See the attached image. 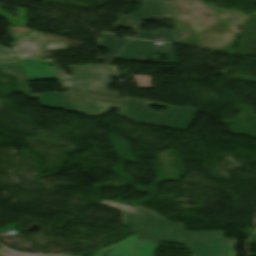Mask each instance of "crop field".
<instances>
[{"instance_id":"obj_12","label":"crop field","mask_w":256,"mask_h":256,"mask_svg":"<svg viewBox=\"0 0 256 256\" xmlns=\"http://www.w3.org/2000/svg\"><path fill=\"white\" fill-rule=\"evenodd\" d=\"M113 76L108 66L90 65V92L119 95V92L108 91Z\"/></svg>"},{"instance_id":"obj_14","label":"crop field","mask_w":256,"mask_h":256,"mask_svg":"<svg viewBox=\"0 0 256 256\" xmlns=\"http://www.w3.org/2000/svg\"><path fill=\"white\" fill-rule=\"evenodd\" d=\"M101 41L99 42L100 47L105 48L110 53L105 57H100L102 61L110 63L117 54L132 40L116 38L113 34L101 33Z\"/></svg>"},{"instance_id":"obj_3","label":"crop field","mask_w":256,"mask_h":256,"mask_svg":"<svg viewBox=\"0 0 256 256\" xmlns=\"http://www.w3.org/2000/svg\"><path fill=\"white\" fill-rule=\"evenodd\" d=\"M8 28L11 38L16 40L11 44L17 59L46 58V52L51 50H67L63 41L49 40L41 32L26 29L25 33L19 34L15 28Z\"/></svg>"},{"instance_id":"obj_20","label":"crop field","mask_w":256,"mask_h":256,"mask_svg":"<svg viewBox=\"0 0 256 256\" xmlns=\"http://www.w3.org/2000/svg\"><path fill=\"white\" fill-rule=\"evenodd\" d=\"M111 207H114V208H116L120 211H126V210L132 208V207H129L127 205H123V204H119V203H116V204L112 205Z\"/></svg>"},{"instance_id":"obj_18","label":"crop field","mask_w":256,"mask_h":256,"mask_svg":"<svg viewBox=\"0 0 256 256\" xmlns=\"http://www.w3.org/2000/svg\"><path fill=\"white\" fill-rule=\"evenodd\" d=\"M0 67H19L14 56L0 58Z\"/></svg>"},{"instance_id":"obj_9","label":"crop field","mask_w":256,"mask_h":256,"mask_svg":"<svg viewBox=\"0 0 256 256\" xmlns=\"http://www.w3.org/2000/svg\"><path fill=\"white\" fill-rule=\"evenodd\" d=\"M142 5L140 11L121 15L137 19H173L170 3L164 0H134Z\"/></svg>"},{"instance_id":"obj_8","label":"crop field","mask_w":256,"mask_h":256,"mask_svg":"<svg viewBox=\"0 0 256 256\" xmlns=\"http://www.w3.org/2000/svg\"><path fill=\"white\" fill-rule=\"evenodd\" d=\"M143 22L144 21L142 20L119 16L112 30H114L116 27L131 28L133 32L136 33L134 38L160 40V41L177 43L175 30H172V29L164 30L166 28H161L155 31V33L139 31ZM126 37L133 38L130 36H126Z\"/></svg>"},{"instance_id":"obj_17","label":"crop field","mask_w":256,"mask_h":256,"mask_svg":"<svg viewBox=\"0 0 256 256\" xmlns=\"http://www.w3.org/2000/svg\"><path fill=\"white\" fill-rule=\"evenodd\" d=\"M158 243L138 241L131 256H153Z\"/></svg>"},{"instance_id":"obj_1","label":"crop field","mask_w":256,"mask_h":256,"mask_svg":"<svg viewBox=\"0 0 256 256\" xmlns=\"http://www.w3.org/2000/svg\"><path fill=\"white\" fill-rule=\"evenodd\" d=\"M82 114L100 116L110 107H120L118 116L128 118L136 123L188 131L199 109L191 107H173L153 101L126 98L114 95L68 91ZM124 100L121 107V101ZM149 105L168 108L167 112L155 113Z\"/></svg>"},{"instance_id":"obj_15","label":"crop field","mask_w":256,"mask_h":256,"mask_svg":"<svg viewBox=\"0 0 256 256\" xmlns=\"http://www.w3.org/2000/svg\"><path fill=\"white\" fill-rule=\"evenodd\" d=\"M137 239V236H130L104 250L111 248L108 256H129ZM104 250L97 252L96 256H103Z\"/></svg>"},{"instance_id":"obj_7","label":"crop field","mask_w":256,"mask_h":256,"mask_svg":"<svg viewBox=\"0 0 256 256\" xmlns=\"http://www.w3.org/2000/svg\"><path fill=\"white\" fill-rule=\"evenodd\" d=\"M152 53L176 56L172 44L134 40L117 58L147 62Z\"/></svg>"},{"instance_id":"obj_19","label":"crop field","mask_w":256,"mask_h":256,"mask_svg":"<svg viewBox=\"0 0 256 256\" xmlns=\"http://www.w3.org/2000/svg\"><path fill=\"white\" fill-rule=\"evenodd\" d=\"M13 54L12 49L0 45V56Z\"/></svg>"},{"instance_id":"obj_6","label":"crop field","mask_w":256,"mask_h":256,"mask_svg":"<svg viewBox=\"0 0 256 256\" xmlns=\"http://www.w3.org/2000/svg\"><path fill=\"white\" fill-rule=\"evenodd\" d=\"M3 71L14 75L18 80H20V90L28 98H38L42 107L48 109H63L65 111L77 113L78 110L73 105L69 96L66 92L60 93H45V94H37V96H33L28 89V83L25 79L24 74L22 73L20 68H11V69H3Z\"/></svg>"},{"instance_id":"obj_4","label":"crop field","mask_w":256,"mask_h":256,"mask_svg":"<svg viewBox=\"0 0 256 256\" xmlns=\"http://www.w3.org/2000/svg\"><path fill=\"white\" fill-rule=\"evenodd\" d=\"M236 239H224V231L187 232V246L195 256H236Z\"/></svg>"},{"instance_id":"obj_10","label":"crop field","mask_w":256,"mask_h":256,"mask_svg":"<svg viewBox=\"0 0 256 256\" xmlns=\"http://www.w3.org/2000/svg\"><path fill=\"white\" fill-rule=\"evenodd\" d=\"M114 147H115V151L117 153V155L121 158H124L121 163L117 166H114V170L115 172L120 176L119 179L110 181L108 183H103V184H95L96 188H100V187H118V186H122V185H126L129 181H131V178L127 175H125L122 170H123V163L125 161H130V162H135L132 154L129 150V145L127 143V141L116 137V136H109ZM126 163V162H125ZM112 168V169H113Z\"/></svg>"},{"instance_id":"obj_11","label":"crop field","mask_w":256,"mask_h":256,"mask_svg":"<svg viewBox=\"0 0 256 256\" xmlns=\"http://www.w3.org/2000/svg\"><path fill=\"white\" fill-rule=\"evenodd\" d=\"M47 61L51 63L52 69L56 76L62 83L63 87L68 89H78L88 91V67L84 66H69L73 71V76H66L63 71L53 62L51 59L47 58Z\"/></svg>"},{"instance_id":"obj_16","label":"crop field","mask_w":256,"mask_h":256,"mask_svg":"<svg viewBox=\"0 0 256 256\" xmlns=\"http://www.w3.org/2000/svg\"><path fill=\"white\" fill-rule=\"evenodd\" d=\"M0 7H7V6L0 4ZM7 8H14L18 12L17 18L7 14L2 10H0V16L6 19L10 24H14V25L26 28L27 9L17 8V7H7Z\"/></svg>"},{"instance_id":"obj_5","label":"crop field","mask_w":256,"mask_h":256,"mask_svg":"<svg viewBox=\"0 0 256 256\" xmlns=\"http://www.w3.org/2000/svg\"><path fill=\"white\" fill-rule=\"evenodd\" d=\"M156 157H157L158 162L154 165L156 167L158 177H157L156 181L154 182L153 186L146 188L139 184L135 185L139 192H142V191L148 192L150 195L149 197L143 198L140 200H136L133 202H129V203L121 200L123 198L122 197L119 200H115V201L105 200V201L101 202L100 204L110 206L116 202H119V203L127 204V205L134 207V206L139 205L140 203L145 202V201L151 199L152 197H154L156 195L155 187L160 181L179 180V178L181 176H183L182 165H177V164L181 163V161H180L179 156L176 151H168L164 154L156 155Z\"/></svg>"},{"instance_id":"obj_13","label":"crop field","mask_w":256,"mask_h":256,"mask_svg":"<svg viewBox=\"0 0 256 256\" xmlns=\"http://www.w3.org/2000/svg\"><path fill=\"white\" fill-rule=\"evenodd\" d=\"M29 80L57 79L45 59L18 60ZM46 62L41 66L39 63Z\"/></svg>"},{"instance_id":"obj_2","label":"crop field","mask_w":256,"mask_h":256,"mask_svg":"<svg viewBox=\"0 0 256 256\" xmlns=\"http://www.w3.org/2000/svg\"><path fill=\"white\" fill-rule=\"evenodd\" d=\"M123 226L142 239L186 244V230L183 223L170 222L142 206L123 213Z\"/></svg>"}]
</instances>
